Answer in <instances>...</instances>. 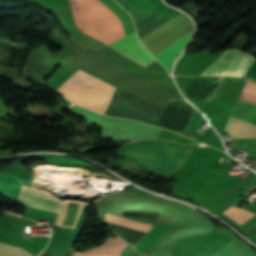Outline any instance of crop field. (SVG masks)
I'll return each mask as SVG.
<instances>
[{
	"mask_svg": "<svg viewBox=\"0 0 256 256\" xmlns=\"http://www.w3.org/2000/svg\"><path fill=\"white\" fill-rule=\"evenodd\" d=\"M72 6L74 20L77 23L79 29L85 34L92 36L103 43L109 45L124 37L121 26L117 21L114 14L109 11L104 5L98 0H81L83 1L94 13V14L83 2L79 0H69Z\"/></svg>",
	"mask_w": 256,
	"mask_h": 256,
	"instance_id": "8a807250",
	"label": "crop field"
},
{
	"mask_svg": "<svg viewBox=\"0 0 256 256\" xmlns=\"http://www.w3.org/2000/svg\"><path fill=\"white\" fill-rule=\"evenodd\" d=\"M115 89V87L77 69L55 91L76 104L104 114Z\"/></svg>",
	"mask_w": 256,
	"mask_h": 256,
	"instance_id": "ac0d7876",
	"label": "crop field"
},
{
	"mask_svg": "<svg viewBox=\"0 0 256 256\" xmlns=\"http://www.w3.org/2000/svg\"><path fill=\"white\" fill-rule=\"evenodd\" d=\"M193 150L163 143L140 142L131 144L125 154L168 175H175Z\"/></svg>",
	"mask_w": 256,
	"mask_h": 256,
	"instance_id": "34b2d1b8",
	"label": "crop field"
},
{
	"mask_svg": "<svg viewBox=\"0 0 256 256\" xmlns=\"http://www.w3.org/2000/svg\"><path fill=\"white\" fill-rule=\"evenodd\" d=\"M244 90L256 94V83L247 81ZM244 90L240 96V99L256 104V95ZM240 99L238 100L229 119L241 121L256 127V105ZM231 120H228L224 129L232 137V139L256 137L255 127Z\"/></svg>",
	"mask_w": 256,
	"mask_h": 256,
	"instance_id": "412701ff",
	"label": "crop field"
},
{
	"mask_svg": "<svg viewBox=\"0 0 256 256\" xmlns=\"http://www.w3.org/2000/svg\"><path fill=\"white\" fill-rule=\"evenodd\" d=\"M254 58L255 57L239 50L229 49L201 75H228L243 77Z\"/></svg>",
	"mask_w": 256,
	"mask_h": 256,
	"instance_id": "f4fd0767",
	"label": "crop field"
},
{
	"mask_svg": "<svg viewBox=\"0 0 256 256\" xmlns=\"http://www.w3.org/2000/svg\"><path fill=\"white\" fill-rule=\"evenodd\" d=\"M109 46L113 47L114 49L118 50L122 54L126 55L127 57L131 58L132 60L138 62L145 67L156 61L143 49L139 40L136 37L135 31L127 35L122 40Z\"/></svg>",
	"mask_w": 256,
	"mask_h": 256,
	"instance_id": "dd49c442",
	"label": "crop field"
},
{
	"mask_svg": "<svg viewBox=\"0 0 256 256\" xmlns=\"http://www.w3.org/2000/svg\"><path fill=\"white\" fill-rule=\"evenodd\" d=\"M21 192H25V193H29V194H33L36 196H40V197H44L47 199H51V200H55V201H59L57 199H55L54 197L41 192L39 190L36 189H32V188H28L24 185H22V188L20 190ZM18 196L17 199V203H21V204H25V205H29L32 207H36V208H40V209H44V210H48V211H52V212H56L58 213L59 208H60V204L59 202H55V201H51V200H47L44 198H40V197H36L33 195H29V194H25V193H21Z\"/></svg>",
	"mask_w": 256,
	"mask_h": 256,
	"instance_id": "e52e79f7",
	"label": "crop field"
},
{
	"mask_svg": "<svg viewBox=\"0 0 256 256\" xmlns=\"http://www.w3.org/2000/svg\"><path fill=\"white\" fill-rule=\"evenodd\" d=\"M221 80H195L183 94L193 103L206 101Z\"/></svg>",
	"mask_w": 256,
	"mask_h": 256,
	"instance_id": "d8731c3e",
	"label": "crop field"
},
{
	"mask_svg": "<svg viewBox=\"0 0 256 256\" xmlns=\"http://www.w3.org/2000/svg\"><path fill=\"white\" fill-rule=\"evenodd\" d=\"M192 35L193 32L189 33L154 57L157 58L169 71L172 61L176 55L186 47L191 40Z\"/></svg>",
	"mask_w": 256,
	"mask_h": 256,
	"instance_id": "5a996713",
	"label": "crop field"
},
{
	"mask_svg": "<svg viewBox=\"0 0 256 256\" xmlns=\"http://www.w3.org/2000/svg\"><path fill=\"white\" fill-rule=\"evenodd\" d=\"M129 244L123 239L108 238V240L95 249L86 250V253H106V254H121Z\"/></svg>",
	"mask_w": 256,
	"mask_h": 256,
	"instance_id": "3316defc",
	"label": "crop field"
},
{
	"mask_svg": "<svg viewBox=\"0 0 256 256\" xmlns=\"http://www.w3.org/2000/svg\"><path fill=\"white\" fill-rule=\"evenodd\" d=\"M105 221L109 223L129 227V228L145 231V232H147L149 228L152 226L151 224H147V223H143V222H139V221H135V220H131V219H127V218H123V217H119V216H115L107 213L105 214Z\"/></svg>",
	"mask_w": 256,
	"mask_h": 256,
	"instance_id": "28ad6ade",
	"label": "crop field"
},
{
	"mask_svg": "<svg viewBox=\"0 0 256 256\" xmlns=\"http://www.w3.org/2000/svg\"><path fill=\"white\" fill-rule=\"evenodd\" d=\"M223 214L227 215L228 217L234 219L235 221L243 224L245 223L247 220H249L251 217H253L254 213L249 212L247 210H242V209H238V208H234L232 206H230L229 208H227L225 211L222 212Z\"/></svg>",
	"mask_w": 256,
	"mask_h": 256,
	"instance_id": "d1516ede",
	"label": "crop field"
},
{
	"mask_svg": "<svg viewBox=\"0 0 256 256\" xmlns=\"http://www.w3.org/2000/svg\"><path fill=\"white\" fill-rule=\"evenodd\" d=\"M116 1L119 2L122 6H124V7L127 9L128 12L131 13V15H132V17L134 18L135 21H137V20H139L140 18L144 17V16L147 15L148 13H150L149 15H151L152 13L155 12V11H151V10H147V9L140 8V7L135 6V7H137V8H140V9H142V10L148 12V13H146V12H144V11H142V10H140V9H137V8H135V7H133V6L129 5V4H126L125 2H123V1H125V0H123V1H122V0H116ZM149 15L145 16L144 18L148 17ZM144 18H142V19H140L139 21L135 22V24L138 23V22H140V21L143 20Z\"/></svg>",
	"mask_w": 256,
	"mask_h": 256,
	"instance_id": "22f410ed",
	"label": "crop field"
},
{
	"mask_svg": "<svg viewBox=\"0 0 256 256\" xmlns=\"http://www.w3.org/2000/svg\"><path fill=\"white\" fill-rule=\"evenodd\" d=\"M0 254L2 256H32L22 248L0 243Z\"/></svg>",
	"mask_w": 256,
	"mask_h": 256,
	"instance_id": "cbeb9de0",
	"label": "crop field"
},
{
	"mask_svg": "<svg viewBox=\"0 0 256 256\" xmlns=\"http://www.w3.org/2000/svg\"><path fill=\"white\" fill-rule=\"evenodd\" d=\"M245 77H252V78H256V60L255 62L252 64V66L249 68L247 74Z\"/></svg>",
	"mask_w": 256,
	"mask_h": 256,
	"instance_id": "5142ce71",
	"label": "crop field"
},
{
	"mask_svg": "<svg viewBox=\"0 0 256 256\" xmlns=\"http://www.w3.org/2000/svg\"><path fill=\"white\" fill-rule=\"evenodd\" d=\"M40 255H41V253H40ZM40 255H39V256H40Z\"/></svg>",
	"mask_w": 256,
	"mask_h": 256,
	"instance_id": "d9b57169",
	"label": "crop field"
}]
</instances>
